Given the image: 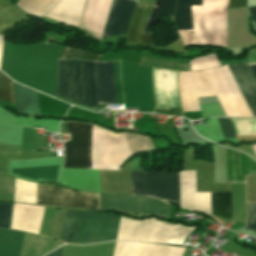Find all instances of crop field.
Returning <instances> with one entry per match:
<instances>
[{"instance_id":"733c2abd","label":"crop field","mask_w":256,"mask_h":256,"mask_svg":"<svg viewBox=\"0 0 256 256\" xmlns=\"http://www.w3.org/2000/svg\"><path fill=\"white\" fill-rule=\"evenodd\" d=\"M212 214L231 217L230 192H211Z\"/></svg>"},{"instance_id":"4177f3b9","label":"crop field","mask_w":256,"mask_h":256,"mask_svg":"<svg viewBox=\"0 0 256 256\" xmlns=\"http://www.w3.org/2000/svg\"><path fill=\"white\" fill-rule=\"evenodd\" d=\"M247 6V0H229L228 8Z\"/></svg>"},{"instance_id":"cbeb9de0","label":"crop field","mask_w":256,"mask_h":256,"mask_svg":"<svg viewBox=\"0 0 256 256\" xmlns=\"http://www.w3.org/2000/svg\"><path fill=\"white\" fill-rule=\"evenodd\" d=\"M254 117H256V84L246 64L228 66Z\"/></svg>"},{"instance_id":"28ad6ade","label":"crop field","mask_w":256,"mask_h":256,"mask_svg":"<svg viewBox=\"0 0 256 256\" xmlns=\"http://www.w3.org/2000/svg\"><path fill=\"white\" fill-rule=\"evenodd\" d=\"M135 2L136 0H113L103 38L126 34Z\"/></svg>"},{"instance_id":"e52e79f7","label":"crop field","mask_w":256,"mask_h":256,"mask_svg":"<svg viewBox=\"0 0 256 256\" xmlns=\"http://www.w3.org/2000/svg\"><path fill=\"white\" fill-rule=\"evenodd\" d=\"M36 204L97 209V194L37 184Z\"/></svg>"},{"instance_id":"d3111659","label":"crop field","mask_w":256,"mask_h":256,"mask_svg":"<svg viewBox=\"0 0 256 256\" xmlns=\"http://www.w3.org/2000/svg\"><path fill=\"white\" fill-rule=\"evenodd\" d=\"M2 45H3V35H0V60H1Z\"/></svg>"},{"instance_id":"d8731c3e","label":"crop field","mask_w":256,"mask_h":256,"mask_svg":"<svg viewBox=\"0 0 256 256\" xmlns=\"http://www.w3.org/2000/svg\"><path fill=\"white\" fill-rule=\"evenodd\" d=\"M190 5H201V0H156L143 32H152L163 14L173 17L176 30L192 29Z\"/></svg>"},{"instance_id":"214f88e0","label":"crop field","mask_w":256,"mask_h":256,"mask_svg":"<svg viewBox=\"0 0 256 256\" xmlns=\"http://www.w3.org/2000/svg\"><path fill=\"white\" fill-rule=\"evenodd\" d=\"M0 99L13 102L11 80L0 73Z\"/></svg>"},{"instance_id":"d1516ede","label":"crop field","mask_w":256,"mask_h":256,"mask_svg":"<svg viewBox=\"0 0 256 256\" xmlns=\"http://www.w3.org/2000/svg\"><path fill=\"white\" fill-rule=\"evenodd\" d=\"M97 102L116 103L113 62H94Z\"/></svg>"},{"instance_id":"730fd06b","label":"crop field","mask_w":256,"mask_h":256,"mask_svg":"<svg viewBox=\"0 0 256 256\" xmlns=\"http://www.w3.org/2000/svg\"><path fill=\"white\" fill-rule=\"evenodd\" d=\"M252 19L254 20L255 24H256V7H250V8H247Z\"/></svg>"},{"instance_id":"22f410ed","label":"crop field","mask_w":256,"mask_h":256,"mask_svg":"<svg viewBox=\"0 0 256 256\" xmlns=\"http://www.w3.org/2000/svg\"><path fill=\"white\" fill-rule=\"evenodd\" d=\"M84 3L85 0H60L45 17L78 27Z\"/></svg>"},{"instance_id":"d9b57169","label":"crop field","mask_w":256,"mask_h":256,"mask_svg":"<svg viewBox=\"0 0 256 256\" xmlns=\"http://www.w3.org/2000/svg\"><path fill=\"white\" fill-rule=\"evenodd\" d=\"M16 110L30 115H39L37 95L35 91L15 84Z\"/></svg>"},{"instance_id":"8a807250","label":"crop field","mask_w":256,"mask_h":256,"mask_svg":"<svg viewBox=\"0 0 256 256\" xmlns=\"http://www.w3.org/2000/svg\"><path fill=\"white\" fill-rule=\"evenodd\" d=\"M182 172L131 171L132 195L150 196L179 205L182 199L181 207L211 214L210 192L196 193L195 171Z\"/></svg>"},{"instance_id":"412701ff","label":"crop field","mask_w":256,"mask_h":256,"mask_svg":"<svg viewBox=\"0 0 256 256\" xmlns=\"http://www.w3.org/2000/svg\"><path fill=\"white\" fill-rule=\"evenodd\" d=\"M120 217L90 211H68L61 238L78 244L116 240Z\"/></svg>"},{"instance_id":"a9b5d70f","label":"crop field","mask_w":256,"mask_h":256,"mask_svg":"<svg viewBox=\"0 0 256 256\" xmlns=\"http://www.w3.org/2000/svg\"><path fill=\"white\" fill-rule=\"evenodd\" d=\"M224 138H236L230 120L228 118H218Z\"/></svg>"},{"instance_id":"92a150f3","label":"crop field","mask_w":256,"mask_h":256,"mask_svg":"<svg viewBox=\"0 0 256 256\" xmlns=\"http://www.w3.org/2000/svg\"><path fill=\"white\" fill-rule=\"evenodd\" d=\"M101 55H94L85 51L73 50L65 47L63 58H78L98 61Z\"/></svg>"},{"instance_id":"ac0d7876","label":"crop field","mask_w":256,"mask_h":256,"mask_svg":"<svg viewBox=\"0 0 256 256\" xmlns=\"http://www.w3.org/2000/svg\"><path fill=\"white\" fill-rule=\"evenodd\" d=\"M227 5L228 0H202V6H191L193 30L176 31L183 44L226 46Z\"/></svg>"},{"instance_id":"dd49c442","label":"crop field","mask_w":256,"mask_h":256,"mask_svg":"<svg viewBox=\"0 0 256 256\" xmlns=\"http://www.w3.org/2000/svg\"><path fill=\"white\" fill-rule=\"evenodd\" d=\"M170 206L153 198L98 194V209L167 218Z\"/></svg>"},{"instance_id":"ae1a2a85","label":"crop field","mask_w":256,"mask_h":256,"mask_svg":"<svg viewBox=\"0 0 256 256\" xmlns=\"http://www.w3.org/2000/svg\"><path fill=\"white\" fill-rule=\"evenodd\" d=\"M249 67H250V69L252 71V74H253L255 80H256V65H251Z\"/></svg>"},{"instance_id":"4a817a6b","label":"crop field","mask_w":256,"mask_h":256,"mask_svg":"<svg viewBox=\"0 0 256 256\" xmlns=\"http://www.w3.org/2000/svg\"><path fill=\"white\" fill-rule=\"evenodd\" d=\"M236 135H256V119H230Z\"/></svg>"},{"instance_id":"bc2a9ffb","label":"crop field","mask_w":256,"mask_h":256,"mask_svg":"<svg viewBox=\"0 0 256 256\" xmlns=\"http://www.w3.org/2000/svg\"><path fill=\"white\" fill-rule=\"evenodd\" d=\"M141 65H146L150 67H158V68H167L179 71H188L187 64H178L172 62H165V61H157V60H148V59H140Z\"/></svg>"},{"instance_id":"34b2d1b8","label":"crop field","mask_w":256,"mask_h":256,"mask_svg":"<svg viewBox=\"0 0 256 256\" xmlns=\"http://www.w3.org/2000/svg\"><path fill=\"white\" fill-rule=\"evenodd\" d=\"M57 95L96 109L93 62L58 59Z\"/></svg>"},{"instance_id":"5a996713","label":"crop field","mask_w":256,"mask_h":256,"mask_svg":"<svg viewBox=\"0 0 256 256\" xmlns=\"http://www.w3.org/2000/svg\"><path fill=\"white\" fill-rule=\"evenodd\" d=\"M112 0H86L79 30L100 41L107 21Z\"/></svg>"},{"instance_id":"00972430","label":"crop field","mask_w":256,"mask_h":256,"mask_svg":"<svg viewBox=\"0 0 256 256\" xmlns=\"http://www.w3.org/2000/svg\"><path fill=\"white\" fill-rule=\"evenodd\" d=\"M248 226L246 229L256 231V203H247Z\"/></svg>"},{"instance_id":"3316defc","label":"crop field","mask_w":256,"mask_h":256,"mask_svg":"<svg viewBox=\"0 0 256 256\" xmlns=\"http://www.w3.org/2000/svg\"><path fill=\"white\" fill-rule=\"evenodd\" d=\"M156 109L180 107L177 72L153 68Z\"/></svg>"},{"instance_id":"eef30255","label":"crop field","mask_w":256,"mask_h":256,"mask_svg":"<svg viewBox=\"0 0 256 256\" xmlns=\"http://www.w3.org/2000/svg\"><path fill=\"white\" fill-rule=\"evenodd\" d=\"M61 249H62V247L57 249V250H55V251H53V252H51V253H49L46 256H60L61 255Z\"/></svg>"},{"instance_id":"f4fd0767","label":"crop field","mask_w":256,"mask_h":256,"mask_svg":"<svg viewBox=\"0 0 256 256\" xmlns=\"http://www.w3.org/2000/svg\"><path fill=\"white\" fill-rule=\"evenodd\" d=\"M94 125L66 122L71 141L65 145L62 168L92 169Z\"/></svg>"},{"instance_id":"5142ce71","label":"crop field","mask_w":256,"mask_h":256,"mask_svg":"<svg viewBox=\"0 0 256 256\" xmlns=\"http://www.w3.org/2000/svg\"><path fill=\"white\" fill-rule=\"evenodd\" d=\"M152 7L136 5L128 34V43L153 46L151 33L141 34Z\"/></svg>"},{"instance_id":"dafd665d","label":"crop field","mask_w":256,"mask_h":256,"mask_svg":"<svg viewBox=\"0 0 256 256\" xmlns=\"http://www.w3.org/2000/svg\"><path fill=\"white\" fill-rule=\"evenodd\" d=\"M12 205L0 204V228L9 229Z\"/></svg>"}]
</instances>
